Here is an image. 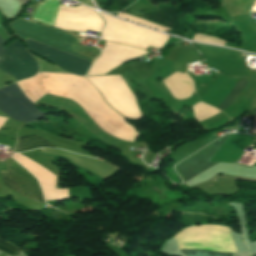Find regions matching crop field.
I'll use <instances>...</instances> for the list:
<instances>
[{"mask_svg":"<svg viewBox=\"0 0 256 256\" xmlns=\"http://www.w3.org/2000/svg\"><path fill=\"white\" fill-rule=\"evenodd\" d=\"M35 106L16 83L0 90V111L12 119L28 123L42 118L46 113Z\"/></svg>","mask_w":256,"mask_h":256,"instance_id":"6","label":"crop field"},{"mask_svg":"<svg viewBox=\"0 0 256 256\" xmlns=\"http://www.w3.org/2000/svg\"><path fill=\"white\" fill-rule=\"evenodd\" d=\"M60 0H44L37 7L33 18L49 25H54ZM103 20L93 10L82 5L75 8L60 5L55 27L67 31H82L85 29L100 32Z\"/></svg>","mask_w":256,"mask_h":256,"instance_id":"3","label":"crop field"},{"mask_svg":"<svg viewBox=\"0 0 256 256\" xmlns=\"http://www.w3.org/2000/svg\"><path fill=\"white\" fill-rule=\"evenodd\" d=\"M233 256H235V255H233Z\"/></svg>","mask_w":256,"mask_h":256,"instance_id":"20","label":"crop field"},{"mask_svg":"<svg viewBox=\"0 0 256 256\" xmlns=\"http://www.w3.org/2000/svg\"><path fill=\"white\" fill-rule=\"evenodd\" d=\"M87 78L98 88L114 110L128 119L141 118L135 98L120 76H93Z\"/></svg>","mask_w":256,"mask_h":256,"instance_id":"5","label":"crop field"},{"mask_svg":"<svg viewBox=\"0 0 256 256\" xmlns=\"http://www.w3.org/2000/svg\"><path fill=\"white\" fill-rule=\"evenodd\" d=\"M4 242L0 240V250L1 251L5 252V253H8L10 255H17L18 254V252H19L18 248H16L13 245L6 244L7 242L6 243H4Z\"/></svg>","mask_w":256,"mask_h":256,"instance_id":"17","label":"crop field"},{"mask_svg":"<svg viewBox=\"0 0 256 256\" xmlns=\"http://www.w3.org/2000/svg\"><path fill=\"white\" fill-rule=\"evenodd\" d=\"M117 16L125 18V19H127L129 21H134V22H136L138 24H142V25H145V26H149L151 28L159 29L161 31L169 30V29H165V28L159 27L157 25L151 24V23H149V22H147V21H145L143 19L131 16V15H128V14H125V13H122V12H119Z\"/></svg>","mask_w":256,"mask_h":256,"instance_id":"15","label":"crop field"},{"mask_svg":"<svg viewBox=\"0 0 256 256\" xmlns=\"http://www.w3.org/2000/svg\"><path fill=\"white\" fill-rule=\"evenodd\" d=\"M172 238L178 239L180 249H205L235 252L231 230L225 225H202L186 228Z\"/></svg>","mask_w":256,"mask_h":256,"instance_id":"4","label":"crop field"},{"mask_svg":"<svg viewBox=\"0 0 256 256\" xmlns=\"http://www.w3.org/2000/svg\"><path fill=\"white\" fill-rule=\"evenodd\" d=\"M18 85L33 102L46 93L76 101L100 128L115 137L132 141L136 135L134 130L125 123L124 118L106 105L96 89L85 78L41 73L33 79L18 82Z\"/></svg>","mask_w":256,"mask_h":256,"instance_id":"1","label":"crop field"},{"mask_svg":"<svg viewBox=\"0 0 256 256\" xmlns=\"http://www.w3.org/2000/svg\"><path fill=\"white\" fill-rule=\"evenodd\" d=\"M187 256H232V254L215 253V252H203V251H186Z\"/></svg>","mask_w":256,"mask_h":256,"instance_id":"16","label":"crop field"},{"mask_svg":"<svg viewBox=\"0 0 256 256\" xmlns=\"http://www.w3.org/2000/svg\"><path fill=\"white\" fill-rule=\"evenodd\" d=\"M244 85H245V82L237 80L236 83L233 85V87L222 99V101L218 104L217 108L223 111L227 107H229L232 104V102L237 98V96L240 94Z\"/></svg>","mask_w":256,"mask_h":256,"instance_id":"14","label":"crop field"},{"mask_svg":"<svg viewBox=\"0 0 256 256\" xmlns=\"http://www.w3.org/2000/svg\"><path fill=\"white\" fill-rule=\"evenodd\" d=\"M192 43L198 48V50L202 54L243 61L240 52H236V51H232V50H228L220 47L202 45L194 42Z\"/></svg>","mask_w":256,"mask_h":256,"instance_id":"13","label":"crop field"},{"mask_svg":"<svg viewBox=\"0 0 256 256\" xmlns=\"http://www.w3.org/2000/svg\"><path fill=\"white\" fill-rule=\"evenodd\" d=\"M230 137V136H229ZM225 137L203 152L193 156L189 160L185 161L181 165H179L180 171L187 181L191 180L192 178L196 177L197 175L201 174L202 172L206 171L210 167L214 166L217 163H208L215 152L220 148L223 142L229 138Z\"/></svg>","mask_w":256,"mask_h":256,"instance_id":"10","label":"crop field"},{"mask_svg":"<svg viewBox=\"0 0 256 256\" xmlns=\"http://www.w3.org/2000/svg\"><path fill=\"white\" fill-rule=\"evenodd\" d=\"M251 131L256 132V113H255V118H254V122H253V126H252Z\"/></svg>","mask_w":256,"mask_h":256,"instance_id":"19","label":"crop field"},{"mask_svg":"<svg viewBox=\"0 0 256 256\" xmlns=\"http://www.w3.org/2000/svg\"><path fill=\"white\" fill-rule=\"evenodd\" d=\"M102 14V13H101ZM107 26L102 39L146 49L149 45L160 48L168 35L137 27L128 22L102 14ZM103 54L96 60L88 75L104 74L127 59L147 52L106 41Z\"/></svg>","mask_w":256,"mask_h":256,"instance_id":"2","label":"crop field"},{"mask_svg":"<svg viewBox=\"0 0 256 256\" xmlns=\"http://www.w3.org/2000/svg\"><path fill=\"white\" fill-rule=\"evenodd\" d=\"M255 141H256V139H255Z\"/></svg>","mask_w":256,"mask_h":256,"instance_id":"21","label":"crop field"},{"mask_svg":"<svg viewBox=\"0 0 256 256\" xmlns=\"http://www.w3.org/2000/svg\"><path fill=\"white\" fill-rule=\"evenodd\" d=\"M5 163L10 171L0 172L3 184L26 197L44 203L42 192L36 179L12 158L5 160Z\"/></svg>","mask_w":256,"mask_h":256,"instance_id":"8","label":"crop field"},{"mask_svg":"<svg viewBox=\"0 0 256 256\" xmlns=\"http://www.w3.org/2000/svg\"><path fill=\"white\" fill-rule=\"evenodd\" d=\"M25 45L29 48V50L57 64L59 67L72 74L85 75L91 65V62L89 61L73 56L59 49L40 44L30 39L26 41Z\"/></svg>","mask_w":256,"mask_h":256,"instance_id":"9","label":"crop field"},{"mask_svg":"<svg viewBox=\"0 0 256 256\" xmlns=\"http://www.w3.org/2000/svg\"><path fill=\"white\" fill-rule=\"evenodd\" d=\"M40 147H56V146L51 144L47 140L43 139L39 135L32 134L28 136L18 137L16 148L12 152H23V151L40 148Z\"/></svg>","mask_w":256,"mask_h":256,"instance_id":"12","label":"crop field"},{"mask_svg":"<svg viewBox=\"0 0 256 256\" xmlns=\"http://www.w3.org/2000/svg\"><path fill=\"white\" fill-rule=\"evenodd\" d=\"M0 70L19 80L31 77L38 71L36 61L17 40L6 48L0 60Z\"/></svg>","mask_w":256,"mask_h":256,"instance_id":"7","label":"crop field"},{"mask_svg":"<svg viewBox=\"0 0 256 256\" xmlns=\"http://www.w3.org/2000/svg\"><path fill=\"white\" fill-rule=\"evenodd\" d=\"M170 53V55L163 58L171 60L174 63L176 70L179 71L186 72L187 64L197 60H202L200 55L194 50L192 46L187 49L176 48L171 50Z\"/></svg>","mask_w":256,"mask_h":256,"instance_id":"11","label":"crop field"},{"mask_svg":"<svg viewBox=\"0 0 256 256\" xmlns=\"http://www.w3.org/2000/svg\"><path fill=\"white\" fill-rule=\"evenodd\" d=\"M6 43L0 36V59L2 58V56L5 54V51L3 49V44Z\"/></svg>","mask_w":256,"mask_h":256,"instance_id":"18","label":"crop field"}]
</instances>
